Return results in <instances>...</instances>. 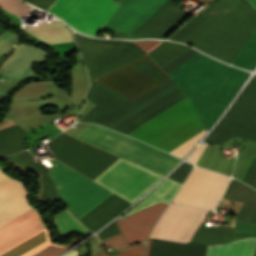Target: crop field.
Wrapping results in <instances>:
<instances>
[{"label": "crop field", "mask_w": 256, "mask_h": 256, "mask_svg": "<svg viewBox=\"0 0 256 256\" xmlns=\"http://www.w3.org/2000/svg\"><path fill=\"white\" fill-rule=\"evenodd\" d=\"M51 161L54 166L49 169V175L55 181L61 199L77 218L80 219L113 194L58 160ZM161 178L119 158L92 180L132 203Z\"/></svg>", "instance_id": "1"}, {"label": "crop field", "mask_w": 256, "mask_h": 256, "mask_svg": "<svg viewBox=\"0 0 256 256\" xmlns=\"http://www.w3.org/2000/svg\"><path fill=\"white\" fill-rule=\"evenodd\" d=\"M247 1L256 10V0ZM255 30L256 13L242 0H212L169 39L230 64Z\"/></svg>", "instance_id": "2"}, {"label": "crop field", "mask_w": 256, "mask_h": 256, "mask_svg": "<svg viewBox=\"0 0 256 256\" xmlns=\"http://www.w3.org/2000/svg\"><path fill=\"white\" fill-rule=\"evenodd\" d=\"M222 198L243 202L235 220L256 224L254 190L231 180ZM207 213L206 210L171 204L159 220L151 238L182 243L192 241ZM235 232L256 237V226L235 221ZM237 233H234V228L205 226L202 222L193 241L215 245L249 237Z\"/></svg>", "instance_id": "3"}, {"label": "crop field", "mask_w": 256, "mask_h": 256, "mask_svg": "<svg viewBox=\"0 0 256 256\" xmlns=\"http://www.w3.org/2000/svg\"><path fill=\"white\" fill-rule=\"evenodd\" d=\"M168 75L209 129L249 74L198 52Z\"/></svg>", "instance_id": "4"}, {"label": "crop field", "mask_w": 256, "mask_h": 256, "mask_svg": "<svg viewBox=\"0 0 256 256\" xmlns=\"http://www.w3.org/2000/svg\"><path fill=\"white\" fill-rule=\"evenodd\" d=\"M116 1V0H115ZM168 0H117L121 6L104 28L131 35ZM191 15L167 2L131 36L114 32L116 38L165 39ZM111 31L108 29H104Z\"/></svg>", "instance_id": "5"}, {"label": "crop field", "mask_w": 256, "mask_h": 256, "mask_svg": "<svg viewBox=\"0 0 256 256\" xmlns=\"http://www.w3.org/2000/svg\"><path fill=\"white\" fill-rule=\"evenodd\" d=\"M46 229L38 213L33 209L13 221L0 227V252ZM46 230L0 253V256H57L75 244L74 238L69 244L58 246L49 240Z\"/></svg>", "instance_id": "6"}, {"label": "crop field", "mask_w": 256, "mask_h": 256, "mask_svg": "<svg viewBox=\"0 0 256 256\" xmlns=\"http://www.w3.org/2000/svg\"><path fill=\"white\" fill-rule=\"evenodd\" d=\"M91 127L177 163L180 159L98 125ZM88 127L76 139L164 176L175 163Z\"/></svg>", "instance_id": "7"}, {"label": "crop field", "mask_w": 256, "mask_h": 256, "mask_svg": "<svg viewBox=\"0 0 256 256\" xmlns=\"http://www.w3.org/2000/svg\"><path fill=\"white\" fill-rule=\"evenodd\" d=\"M188 104L190 103L186 99L161 112L147 123L139 127L130 135V137H137ZM202 129L204 128L190 104L147 132L143 133L136 139L168 152Z\"/></svg>", "instance_id": "8"}, {"label": "crop field", "mask_w": 256, "mask_h": 256, "mask_svg": "<svg viewBox=\"0 0 256 256\" xmlns=\"http://www.w3.org/2000/svg\"><path fill=\"white\" fill-rule=\"evenodd\" d=\"M25 1L46 11L55 0ZM119 6L112 0H56L47 12L73 29L95 36Z\"/></svg>", "instance_id": "9"}, {"label": "crop field", "mask_w": 256, "mask_h": 256, "mask_svg": "<svg viewBox=\"0 0 256 256\" xmlns=\"http://www.w3.org/2000/svg\"><path fill=\"white\" fill-rule=\"evenodd\" d=\"M256 76L252 77L226 115L204 142L219 145L235 137L256 142Z\"/></svg>", "instance_id": "10"}, {"label": "crop field", "mask_w": 256, "mask_h": 256, "mask_svg": "<svg viewBox=\"0 0 256 256\" xmlns=\"http://www.w3.org/2000/svg\"><path fill=\"white\" fill-rule=\"evenodd\" d=\"M229 178L194 167L172 202L214 210Z\"/></svg>", "instance_id": "11"}, {"label": "crop field", "mask_w": 256, "mask_h": 256, "mask_svg": "<svg viewBox=\"0 0 256 256\" xmlns=\"http://www.w3.org/2000/svg\"><path fill=\"white\" fill-rule=\"evenodd\" d=\"M28 194L21 182L0 170V226L33 209L27 203Z\"/></svg>", "instance_id": "12"}, {"label": "crop field", "mask_w": 256, "mask_h": 256, "mask_svg": "<svg viewBox=\"0 0 256 256\" xmlns=\"http://www.w3.org/2000/svg\"><path fill=\"white\" fill-rule=\"evenodd\" d=\"M74 36L88 73L102 66L130 45L126 42L90 39L75 33Z\"/></svg>", "instance_id": "13"}, {"label": "crop field", "mask_w": 256, "mask_h": 256, "mask_svg": "<svg viewBox=\"0 0 256 256\" xmlns=\"http://www.w3.org/2000/svg\"><path fill=\"white\" fill-rule=\"evenodd\" d=\"M166 204L159 202L116 221L128 243L146 241L147 235Z\"/></svg>", "instance_id": "14"}, {"label": "crop field", "mask_w": 256, "mask_h": 256, "mask_svg": "<svg viewBox=\"0 0 256 256\" xmlns=\"http://www.w3.org/2000/svg\"><path fill=\"white\" fill-rule=\"evenodd\" d=\"M49 53L37 47L20 43L0 68V73L21 78L32 73V65Z\"/></svg>", "instance_id": "15"}, {"label": "crop field", "mask_w": 256, "mask_h": 256, "mask_svg": "<svg viewBox=\"0 0 256 256\" xmlns=\"http://www.w3.org/2000/svg\"><path fill=\"white\" fill-rule=\"evenodd\" d=\"M151 239H148L145 256H148ZM207 246L190 242L186 244L153 240L149 256H205Z\"/></svg>", "instance_id": "16"}, {"label": "crop field", "mask_w": 256, "mask_h": 256, "mask_svg": "<svg viewBox=\"0 0 256 256\" xmlns=\"http://www.w3.org/2000/svg\"><path fill=\"white\" fill-rule=\"evenodd\" d=\"M256 238L233 241L227 245L208 246L206 256H252Z\"/></svg>", "instance_id": "17"}, {"label": "crop field", "mask_w": 256, "mask_h": 256, "mask_svg": "<svg viewBox=\"0 0 256 256\" xmlns=\"http://www.w3.org/2000/svg\"><path fill=\"white\" fill-rule=\"evenodd\" d=\"M25 30L50 44L72 41L69 30L60 22L48 23L37 28H27Z\"/></svg>", "instance_id": "18"}, {"label": "crop field", "mask_w": 256, "mask_h": 256, "mask_svg": "<svg viewBox=\"0 0 256 256\" xmlns=\"http://www.w3.org/2000/svg\"><path fill=\"white\" fill-rule=\"evenodd\" d=\"M180 184L173 182L169 179H166L163 183H161L150 195H148L145 199H143L134 209L128 212L123 217L132 214L138 210H141L145 207H148L152 204H155L159 201H162L166 204L171 200L174 196Z\"/></svg>", "instance_id": "19"}, {"label": "crop field", "mask_w": 256, "mask_h": 256, "mask_svg": "<svg viewBox=\"0 0 256 256\" xmlns=\"http://www.w3.org/2000/svg\"><path fill=\"white\" fill-rule=\"evenodd\" d=\"M54 221L55 226L62 237H65L72 232H78L85 235L90 234V232L66 208L55 215Z\"/></svg>", "instance_id": "20"}, {"label": "crop field", "mask_w": 256, "mask_h": 256, "mask_svg": "<svg viewBox=\"0 0 256 256\" xmlns=\"http://www.w3.org/2000/svg\"><path fill=\"white\" fill-rule=\"evenodd\" d=\"M189 47L181 44L165 41L149 54H147L159 67L173 60L175 57L183 53Z\"/></svg>", "instance_id": "21"}, {"label": "crop field", "mask_w": 256, "mask_h": 256, "mask_svg": "<svg viewBox=\"0 0 256 256\" xmlns=\"http://www.w3.org/2000/svg\"><path fill=\"white\" fill-rule=\"evenodd\" d=\"M232 64L246 70L254 69L256 66V32Z\"/></svg>", "instance_id": "22"}, {"label": "crop field", "mask_w": 256, "mask_h": 256, "mask_svg": "<svg viewBox=\"0 0 256 256\" xmlns=\"http://www.w3.org/2000/svg\"><path fill=\"white\" fill-rule=\"evenodd\" d=\"M0 6L19 17L24 15L28 8L27 5L19 2L18 0H0Z\"/></svg>", "instance_id": "23"}, {"label": "crop field", "mask_w": 256, "mask_h": 256, "mask_svg": "<svg viewBox=\"0 0 256 256\" xmlns=\"http://www.w3.org/2000/svg\"><path fill=\"white\" fill-rule=\"evenodd\" d=\"M205 133V130L202 131L201 133L197 134L190 140L177 147L176 149L172 150L170 153L182 158L202 138Z\"/></svg>", "instance_id": "24"}, {"label": "crop field", "mask_w": 256, "mask_h": 256, "mask_svg": "<svg viewBox=\"0 0 256 256\" xmlns=\"http://www.w3.org/2000/svg\"><path fill=\"white\" fill-rule=\"evenodd\" d=\"M197 51L193 49H188L186 52H184L182 55L177 57L175 60L170 62L168 65H166L164 68H162L163 71H165L167 74L170 73L172 70H174L176 67H178L180 64H182L184 61H186L188 58H190L192 55H194ZM197 54V53H196Z\"/></svg>", "instance_id": "25"}, {"label": "crop field", "mask_w": 256, "mask_h": 256, "mask_svg": "<svg viewBox=\"0 0 256 256\" xmlns=\"http://www.w3.org/2000/svg\"><path fill=\"white\" fill-rule=\"evenodd\" d=\"M192 165L187 164L184 162L173 174H171L168 178L183 183L185 178L187 177ZM193 168V167H192Z\"/></svg>", "instance_id": "26"}, {"label": "crop field", "mask_w": 256, "mask_h": 256, "mask_svg": "<svg viewBox=\"0 0 256 256\" xmlns=\"http://www.w3.org/2000/svg\"><path fill=\"white\" fill-rule=\"evenodd\" d=\"M161 42L162 41L147 40V41H135L133 43L137 45L139 48H141L145 52V54H147L156 46H158Z\"/></svg>", "instance_id": "27"}, {"label": "crop field", "mask_w": 256, "mask_h": 256, "mask_svg": "<svg viewBox=\"0 0 256 256\" xmlns=\"http://www.w3.org/2000/svg\"><path fill=\"white\" fill-rule=\"evenodd\" d=\"M17 42L19 41L16 39V35L14 34L0 45V56L4 57Z\"/></svg>", "instance_id": "28"}, {"label": "crop field", "mask_w": 256, "mask_h": 256, "mask_svg": "<svg viewBox=\"0 0 256 256\" xmlns=\"http://www.w3.org/2000/svg\"><path fill=\"white\" fill-rule=\"evenodd\" d=\"M103 242L109 244L113 248L121 247L124 245H127V242L125 241L122 234L115 235L113 237H110L108 239L103 240Z\"/></svg>", "instance_id": "29"}, {"label": "crop field", "mask_w": 256, "mask_h": 256, "mask_svg": "<svg viewBox=\"0 0 256 256\" xmlns=\"http://www.w3.org/2000/svg\"><path fill=\"white\" fill-rule=\"evenodd\" d=\"M206 145L207 144L201 143L187 160L196 164L197 160L199 159V157L202 154L203 150L205 149Z\"/></svg>", "instance_id": "30"}, {"label": "crop field", "mask_w": 256, "mask_h": 256, "mask_svg": "<svg viewBox=\"0 0 256 256\" xmlns=\"http://www.w3.org/2000/svg\"><path fill=\"white\" fill-rule=\"evenodd\" d=\"M143 253H144V249L127 252V253H122V254H117V255H112V256H143ZM91 256H109V255L108 254H99V255H91Z\"/></svg>", "instance_id": "31"}, {"label": "crop field", "mask_w": 256, "mask_h": 256, "mask_svg": "<svg viewBox=\"0 0 256 256\" xmlns=\"http://www.w3.org/2000/svg\"><path fill=\"white\" fill-rule=\"evenodd\" d=\"M145 244H137V245H131L127 246L125 248L117 249L119 253L121 252H126V251H131V250H137V249H142L144 248Z\"/></svg>", "instance_id": "32"}, {"label": "crop field", "mask_w": 256, "mask_h": 256, "mask_svg": "<svg viewBox=\"0 0 256 256\" xmlns=\"http://www.w3.org/2000/svg\"><path fill=\"white\" fill-rule=\"evenodd\" d=\"M11 35H13V33L9 32V31H5L0 35V44H2L6 39H8Z\"/></svg>", "instance_id": "33"}, {"label": "crop field", "mask_w": 256, "mask_h": 256, "mask_svg": "<svg viewBox=\"0 0 256 256\" xmlns=\"http://www.w3.org/2000/svg\"><path fill=\"white\" fill-rule=\"evenodd\" d=\"M65 256H79V253H78L77 250L75 249V250L71 251L70 253H68V254L65 255Z\"/></svg>", "instance_id": "34"}, {"label": "crop field", "mask_w": 256, "mask_h": 256, "mask_svg": "<svg viewBox=\"0 0 256 256\" xmlns=\"http://www.w3.org/2000/svg\"><path fill=\"white\" fill-rule=\"evenodd\" d=\"M4 31V29H0V33H2Z\"/></svg>", "instance_id": "35"}, {"label": "crop field", "mask_w": 256, "mask_h": 256, "mask_svg": "<svg viewBox=\"0 0 256 256\" xmlns=\"http://www.w3.org/2000/svg\"><path fill=\"white\" fill-rule=\"evenodd\" d=\"M254 256H256V255H254Z\"/></svg>", "instance_id": "36"}, {"label": "crop field", "mask_w": 256, "mask_h": 256, "mask_svg": "<svg viewBox=\"0 0 256 256\" xmlns=\"http://www.w3.org/2000/svg\"><path fill=\"white\" fill-rule=\"evenodd\" d=\"M255 124H256V122H255Z\"/></svg>", "instance_id": "37"}]
</instances>
